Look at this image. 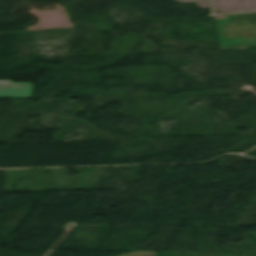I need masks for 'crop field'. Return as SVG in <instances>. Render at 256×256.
I'll return each mask as SVG.
<instances>
[{
	"label": "crop field",
	"instance_id": "obj_1",
	"mask_svg": "<svg viewBox=\"0 0 256 256\" xmlns=\"http://www.w3.org/2000/svg\"><path fill=\"white\" fill-rule=\"evenodd\" d=\"M221 48L256 47V12L214 17Z\"/></svg>",
	"mask_w": 256,
	"mask_h": 256
},
{
	"label": "crop field",
	"instance_id": "obj_2",
	"mask_svg": "<svg viewBox=\"0 0 256 256\" xmlns=\"http://www.w3.org/2000/svg\"><path fill=\"white\" fill-rule=\"evenodd\" d=\"M31 91V83L0 81V98H30Z\"/></svg>",
	"mask_w": 256,
	"mask_h": 256
}]
</instances>
